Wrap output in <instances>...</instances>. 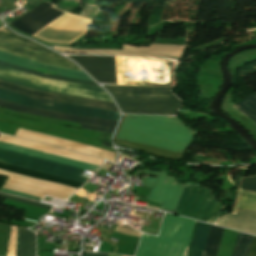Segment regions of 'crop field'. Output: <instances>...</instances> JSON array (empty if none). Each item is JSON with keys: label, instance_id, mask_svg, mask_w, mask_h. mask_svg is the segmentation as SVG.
I'll use <instances>...</instances> for the list:
<instances>
[{"label": "crop field", "instance_id": "crop-field-1", "mask_svg": "<svg viewBox=\"0 0 256 256\" xmlns=\"http://www.w3.org/2000/svg\"><path fill=\"white\" fill-rule=\"evenodd\" d=\"M194 134L177 118L124 115L116 138L183 152L190 146Z\"/></svg>", "mask_w": 256, "mask_h": 256}, {"label": "crop field", "instance_id": "crop-field-2", "mask_svg": "<svg viewBox=\"0 0 256 256\" xmlns=\"http://www.w3.org/2000/svg\"><path fill=\"white\" fill-rule=\"evenodd\" d=\"M0 50L27 57L48 65L78 69L64 57L26 39L0 29ZM0 60L34 69L40 72L90 80L82 71L44 65L0 51Z\"/></svg>", "mask_w": 256, "mask_h": 256}, {"label": "crop field", "instance_id": "crop-field-3", "mask_svg": "<svg viewBox=\"0 0 256 256\" xmlns=\"http://www.w3.org/2000/svg\"><path fill=\"white\" fill-rule=\"evenodd\" d=\"M123 113L175 115L181 102L170 88L104 85Z\"/></svg>", "mask_w": 256, "mask_h": 256}, {"label": "crop field", "instance_id": "crop-field-4", "mask_svg": "<svg viewBox=\"0 0 256 256\" xmlns=\"http://www.w3.org/2000/svg\"><path fill=\"white\" fill-rule=\"evenodd\" d=\"M195 222L165 213L158 238L142 233L136 256H185Z\"/></svg>", "mask_w": 256, "mask_h": 256}, {"label": "crop field", "instance_id": "crop-field-5", "mask_svg": "<svg viewBox=\"0 0 256 256\" xmlns=\"http://www.w3.org/2000/svg\"><path fill=\"white\" fill-rule=\"evenodd\" d=\"M0 79L36 90L112 102L100 88L46 79L0 66Z\"/></svg>", "mask_w": 256, "mask_h": 256}, {"label": "crop field", "instance_id": "crop-field-6", "mask_svg": "<svg viewBox=\"0 0 256 256\" xmlns=\"http://www.w3.org/2000/svg\"><path fill=\"white\" fill-rule=\"evenodd\" d=\"M239 188L256 191V176L243 178ZM241 189L238 191L235 206L256 209V192ZM238 207L234 208L233 214L217 220L215 224L256 235V210Z\"/></svg>", "mask_w": 256, "mask_h": 256}, {"label": "crop field", "instance_id": "crop-field-7", "mask_svg": "<svg viewBox=\"0 0 256 256\" xmlns=\"http://www.w3.org/2000/svg\"><path fill=\"white\" fill-rule=\"evenodd\" d=\"M220 206L208 189L186 186L175 213L214 223Z\"/></svg>", "mask_w": 256, "mask_h": 256}, {"label": "crop field", "instance_id": "crop-field-8", "mask_svg": "<svg viewBox=\"0 0 256 256\" xmlns=\"http://www.w3.org/2000/svg\"><path fill=\"white\" fill-rule=\"evenodd\" d=\"M0 162L84 183V170L0 149Z\"/></svg>", "mask_w": 256, "mask_h": 256}, {"label": "crop field", "instance_id": "crop-field-9", "mask_svg": "<svg viewBox=\"0 0 256 256\" xmlns=\"http://www.w3.org/2000/svg\"><path fill=\"white\" fill-rule=\"evenodd\" d=\"M0 99L8 100L11 102H15V103H19V104H23L31 107L54 110V111H59V112L69 113V114L97 117V118H103V119H109V120H115V121H117L119 118V113L115 111L102 110V109H96V108H89V107L35 99V98L27 97L24 95H20L17 93H13L10 91H6L3 89H0Z\"/></svg>", "mask_w": 256, "mask_h": 256}, {"label": "crop field", "instance_id": "crop-field-10", "mask_svg": "<svg viewBox=\"0 0 256 256\" xmlns=\"http://www.w3.org/2000/svg\"><path fill=\"white\" fill-rule=\"evenodd\" d=\"M143 174L157 175L156 178L142 179L144 185L153 187L147 200L160 203L161 209L174 212L185 186L173 183L175 178L166 176V173L144 172Z\"/></svg>", "mask_w": 256, "mask_h": 256}, {"label": "crop field", "instance_id": "crop-field-11", "mask_svg": "<svg viewBox=\"0 0 256 256\" xmlns=\"http://www.w3.org/2000/svg\"><path fill=\"white\" fill-rule=\"evenodd\" d=\"M0 107H4V108L14 110V111H18V112L44 116V117H50V118H55V119H61V120H67V121H73V122H79V123L109 127L111 129H105V128H102V127L80 124V127H83V128L107 131V132H111V133L113 132L114 127L117 123L115 121H109V120H103V119H96V118H88V117H80V116H73V115H67V114L46 112V111H42V110H38V109H34V108L22 106V105H18V104H14V103L2 101V100H0Z\"/></svg>", "mask_w": 256, "mask_h": 256}, {"label": "crop field", "instance_id": "crop-field-12", "mask_svg": "<svg viewBox=\"0 0 256 256\" xmlns=\"http://www.w3.org/2000/svg\"><path fill=\"white\" fill-rule=\"evenodd\" d=\"M0 88L10 90L13 92H17L20 94H24L27 96H31V97H36V98H42V99H48V100H54V101L79 104V105H85V106H91V107H97V108H103V109L117 111L114 103L36 91V90H32L29 88H25V87L15 85L12 83H8L5 81H1V80H0Z\"/></svg>", "mask_w": 256, "mask_h": 256}, {"label": "crop field", "instance_id": "crop-field-13", "mask_svg": "<svg viewBox=\"0 0 256 256\" xmlns=\"http://www.w3.org/2000/svg\"><path fill=\"white\" fill-rule=\"evenodd\" d=\"M63 13L64 12L54 9L51 4L44 2L22 18L10 24L15 26L18 30L32 35Z\"/></svg>", "mask_w": 256, "mask_h": 256}, {"label": "crop field", "instance_id": "crop-field-14", "mask_svg": "<svg viewBox=\"0 0 256 256\" xmlns=\"http://www.w3.org/2000/svg\"><path fill=\"white\" fill-rule=\"evenodd\" d=\"M70 57L81 65L96 81L117 84L115 57Z\"/></svg>", "mask_w": 256, "mask_h": 256}, {"label": "crop field", "instance_id": "crop-field-15", "mask_svg": "<svg viewBox=\"0 0 256 256\" xmlns=\"http://www.w3.org/2000/svg\"><path fill=\"white\" fill-rule=\"evenodd\" d=\"M209 226L208 224L198 223L189 256H201ZM223 230V228L210 226L202 256H216Z\"/></svg>", "mask_w": 256, "mask_h": 256}, {"label": "crop field", "instance_id": "crop-field-16", "mask_svg": "<svg viewBox=\"0 0 256 256\" xmlns=\"http://www.w3.org/2000/svg\"><path fill=\"white\" fill-rule=\"evenodd\" d=\"M0 148L27 154V155H31V156H35V157H39V158H43V159H47V160H51V161H55V162H59V163H63V164H67V165H71V166H75V167H79V168H83V169L94 171V172H96L97 167L99 168V166H95V165H91V164H87V163L51 155L48 153L20 147V146H16V145L4 143V142H0Z\"/></svg>", "mask_w": 256, "mask_h": 256}, {"label": "crop field", "instance_id": "crop-field-17", "mask_svg": "<svg viewBox=\"0 0 256 256\" xmlns=\"http://www.w3.org/2000/svg\"><path fill=\"white\" fill-rule=\"evenodd\" d=\"M84 34H86V31L82 33L57 31L47 25L33 36L53 43L70 44Z\"/></svg>", "mask_w": 256, "mask_h": 256}, {"label": "crop field", "instance_id": "crop-field-18", "mask_svg": "<svg viewBox=\"0 0 256 256\" xmlns=\"http://www.w3.org/2000/svg\"><path fill=\"white\" fill-rule=\"evenodd\" d=\"M0 169L10 171V172H14V173H18V174H22V175H26V176H31V177H35V178H40V179H44V180H49V181H53V182L66 184V185L73 186V187H76V188H78L79 186L82 185V183H78V182L58 178V177H55V176H51V175H47V174H43V173L31 171V170H27V169H24V168L8 165V164H4V163H0Z\"/></svg>", "mask_w": 256, "mask_h": 256}, {"label": "crop field", "instance_id": "crop-field-19", "mask_svg": "<svg viewBox=\"0 0 256 256\" xmlns=\"http://www.w3.org/2000/svg\"><path fill=\"white\" fill-rule=\"evenodd\" d=\"M18 256H35V234L20 228Z\"/></svg>", "mask_w": 256, "mask_h": 256}, {"label": "crop field", "instance_id": "crop-field-20", "mask_svg": "<svg viewBox=\"0 0 256 256\" xmlns=\"http://www.w3.org/2000/svg\"><path fill=\"white\" fill-rule=\"evenodd\" d=\"M253 237L239 232L232 256H248Z\"/></svg>", "mask_w": 256, "mask_h": 256}, {"label": "crop field", "instance_id": "crop-field-21", "mask_svg": "<svg viewBox=\"0 0 256 256\" xmlns=\"http://www.w3.org/2000/svg\"><path fill=\"white\" fill-rule=\"evenodd\" d=\"M0 65H4V66L10 67V68H14V69H17V70H21V71H24V72H28V73L35 74V75L42 76V77H46V78H52V79H57V80H62V81H68V82L80 83V84H85V85L97 86L94 82L48 75V74H44V73H40V72H37V71L30 70V69H26V68H23V67H19V66H16V65H12V64H9V63H6V62H2V61H0Z\"/></svg>", "mask_w": 256, "mask_h": 256}, {"label": "crop field", "instance_id": "crop-field-22", "mask_svg": "<svg viewBox=\"0 0 256 256\" xmlns=\"http://www.w3.org/2000/svg\"><path fill=\"white\" fill-rule=\"evenodd\" d=\"M232 107L256 122V94Z\"/></svg>", "mask_w": 256, "mask_h": 256}, {"label": "crop field", "instance_id": "crop-field-23", "mask_svg": "<svg viewBox=\"0 0 256 256\" xmlns=\"http://www.w3.org/2000/svg\"><path fill=\"white\" fill-rule=\"evenodd\" d=\"M0 197L7 198V199H10V200H14V201H18V202H22V203H26V204H30V205L43 207V208H46L48 210L51 208V206H48V205H45V204H42V203H38V202H34V201L22 199V198H16V197L4 195V194H0Z\"/></svg>", "mask_w": 256, "mask_h": 256}, {"label": "crop field", "instance_id": "crop-field-24", "mask_svg": "<svg viewBox=\"0 0 256 256\" xmlns=\"http://www.w3.org/2000/svg\"><path fill=\"white\" fill-rule=\"evenodd\" d=\"M12 3H17L19 0H8ZM27 2L25 4H23V6L27 7V8H32L35 5H37L39 2H41L42 0H26Z\"/></svg>", "mask_w": 256, "mask_h": 256}, {"label": "crop field", "instance_id": "crop-field-25", "mask_svg": "<svg viewBox=\"0 0 256 256\" xmlns=\"http://www.w3.org/2000/svg\"><path fill=\"white\" fill-rule=\"evenodd\" d=\"M0 191H1V192L8 193V194L16 195V196H19V197L27 198V199H32V200L41 201L40 198H36V197H32V196H28V195H24V194L12 192V191L4 190V189H1Z\"/></svg>", "mask_w": 256, "mask_h": 256}, {"label": "crop field", "instance_id": "crop-field-26", "mask_svg": "<svg viewBox=\"0 0 256 256\" xmlns=\"http://www.w3.org/2000/svg\"><path fill=\"white\" fill-rule=\"evenodd\" d=\"M249 256H256V236L254 237Z\"/></svg>", "mask_w": 256, "mask_h": 256}, {"label": "crop field", "instance_id": "crop-field-27", "mask_svg": "<svg viewBox=\"0 0 256 256\" xmlns=\"http://www.w3.org/2000/svg\"><path fill=\"white\" fill-rule=\"evenodd\" d=\"M108 254L103 253H87L86 256H107Z\"/></svg>", "mask_w": 256, "mask_h": 256}, {"label": "crop field", "instance_id": "crop-field-28", "mask_svg": "<svg viewBox=\"0 0 256 256\" xmlns=\"http://www.w3.org/2000/svg\"><path fill=\"white\" fill-rule=\"evenodd\" d=\"M108 256H118V255H112V254H109Z\"/></svg>", "mask_w": 256, "mask_h": 256}]
</instances>
